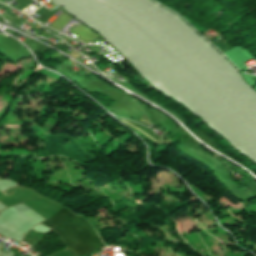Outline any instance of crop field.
<instances>
[{"mask_svg":"<svg viewBox=\"0 0 256 256\" xmlns=\"http://www.w3.org/2000/svg\"><path fill=\"white\" fill-rule=\"evenodd\" d=\"M65 209L62 208L43 224L53 229L72 256L86 255L101 248L93 232L85 223Z\"/></svg>","mask_w":256,"mask_h":256,"instance_id":"1","label":"crop field"},{"mask_svg":"<svg viewBox=\"0 0 256 256\" xmlns=\"http://www.w3.org/2000/svg\"><path fill=\"white\" fill-rule=\"evenodd\" d=\"M136 119H138V120H140V121H142V122H145L143 119H141V118H139V117H138V118H136Z\"/></svg>","mask_w":256,"mask_h":256,"instance_id":"2","label":"crop field"},{"mask_svg":"<svg viewBox=\"0 0 256 256\" xmlns=\"http://www.w3.org/2000/svg\"><path fill=\"white\" fill-rule=\"evenodd\" d=\"M144 118V117H143ZM144 119H146V118H144ZM147 120V119H146Z\"/></svg>","mask_w":256,"mask_h":256,"instance_id":"3","label":"crop field"},{"mask_svg":"<svg viewBox=\"0 0 256 256\" xmlns=\"http://www.w3.org/2000/svg\"><path fill=\"white\" fill-rule=\"evenodd\" d=\"M165 134V133H164Z\"/></svg>","mask_w":256,"mask_h":256,"instance_id":"4","label":"crop field"}]
</instances>
